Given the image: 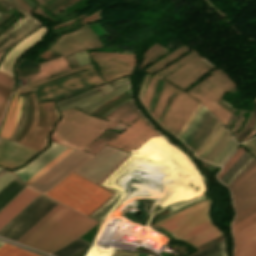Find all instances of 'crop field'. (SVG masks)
<instances>
[{
	"label": "crop field",
	"mask_w": 256,
	"mask_h": 256,
	"mask_svg": "<svg viewBox=\"0 0 256 256\" xmlns=\"http://www.w3.org/2000/svg\"><path fill=\"white\" fill-rule=\"evenodd\" d=\"M149 78H150V76H147V77H146V79L144 80V82H143V84H142V86H141V89H140V91H139V96H140V98H141V101H142V97H143V93H144L145 86H146V84H147Z\"/></svg>",
	"instance_id": "crop-field-37"
},
{
	"label": "crop field",
	"mask_w": 256,
	"mask_h": 256,
	"mask_svg": "<svg viewBox=\"0 0 256 256\" xmlns=\"http://www.w3.org/2000/svg\"><path fill=\"white\" fill-rule=\"evenodd\" d=\"M0 83L9 88H12L13 79L9 76L0 73Z\"/></svg>",
	"instance_id": "crop-field-31"
},
{
	"label": "crop field",
	"mask_w": 256,
	"mask_h": 256,
	"mask_svg": "<svg viewBox=\"0 0 256 256\" xmlns=\"http://www.w3.org/2000/svg\"><path fill=\"white\" fill-rule=\"evenodd\" d=\"M127 96H129V95H126V96H124V97L120 98L119 100H121V99H123V98H125V97H127ZM129 98H130V97H129ZM126 99H128V98H126ZM126 99H124V100H126ZM119 100H117V101H119ZM124 100H122V101H124ZM130 100H132V99L130 98V99H128V100H126V101H124V102L120 101V102H122V103H120V102H119L120 104H119V103H117V104H119V105L115 104V105H113L112 107H114V106H116V105H117L116 107H114V108H112V107H111L112 109H111V108H109V109H111V110H110V111H108V110H109V109H108V110H107L108 112L106 111L107 113H106V112H104L108 107H110L112 104H114L115 102H117V101H115L114 103H112V104H110L108 107H106L103 111L101 110L102 112H104L102 115H100V114L102 113L101 111H100L101 113H99L98 115H100V117H101V116H103V115L106 113V114L102 117V118H105V117H106L107 115H109L113 110H115L116 108H118L119 106H121V105L125 104L126 102H128V101H130ZM98 115H97V116H98Z\"/></svg>",
	"instance_id": "crop-field-28"
},
{
	"label": "crop field",
	"mask_w": 256,
	"mask_h": 256,
	"mask_svg": "<svg viewBox=\"0 0 256 256\" xmlns=\"http://www.w3.org/2000/svg\"><path fill=\"white\" fill-rule=\"evenodd\" d=\"M235 141L233 139L230 141V143L227 145V147L224 149V151L218 156V158L213 162V164L218 165V163L221 161V159L224 157V155L227 153V151L230 149V147L233 145ZM238 143L235 142V144L232 146V148L229 150V152L226 154V156L223 158V160L220 162V166L223 165V163L228 159V157L232 154V152L236 149Z\"/></svg>",
	"instance_id": "crop-field-24"
},
{
	"label": "crop field",
	"mask_w": 256,
	"mask_h": 256,
	"mask_svg": "<svg viewBox=\"0 0 256 256\" xmlns=\"http://www.w3.org/2000/svg\"><path fill=\"white\" fill-rule=\"evenodd\" d=\"M96 221L58 204L17 243L50 253L93 226Z\"/></svg>",
	"instance_id": "crop-field-1"
},
{
	"label": "crop field",
	"mask_w": 256,
	"mask_h": 256,
	"mask_svg": "<svg viewBox=\"0 0 256 256\" xmlns=\"http://www.w3.org/2000/svg\"><path fill=\"white\" fill-rule=\"evenodd\" d=\"M226 132H227V131H226ZM226 132H225V133H226ZM227 133H228V132H227ZM227 133H226V135H227ZM223 134H224V133H223ZM228 134H229V133H228ZM226 135H225V136H226ZM223 136H224V135H223ZM223 136H222V137H223ZM225 136H224L223 138L221 137L222 140L225 138ZM228 136H229V135H228ZM228 136H227V137H228ZM231 137H232V135L230 134V136L227 138V140H226V139H225L226 141L224 140L225 143L223 144L224 141L222 142V144H223V145L221 144L222 147L219 145V144L221 143V141H222V140L220 139V140H221V141L219 140L220 143H219V141H218L217 144L219 143L218 145L221 147V150L219 151V149H220L219 146H218V147H219L218 150L215 149V151L217 150L216 152L213 150V149L216 147V145H217V144H216V145L212 148V150H213L215 153H214L212 150H211V151L214 153V155H215L218 151H219V152H218L215 156L213 155V156H214V157H213V156H212L213 153L210 151L212 154L209 152L211 155L208 153L210 156L207 154L209 157H208L207 155H206V156H207L208 158L205 156L207 159L204 157V158L206 159V161L212 156L213 158L211 157L212 159L210 158L211 160H210V159H209L210 161L208 160L209 162L212 163V162L216 159V157H217V156L223 151V149L226 147V145H227L228 142L230 141ZM204 158H203V159H204ZM205 159H204V160H205Z\"/></svg>",
	"instance_id": "crop-field-25"
},
{
	"label": "crop field",
	"mask_w": 256,
	"mask_h": 256,
	"mask_svg": "<svg viewBox=\"0 0 256 256\" xmlns=\"http://www.w3.org/2000/svg\"><path fill=\"white\" fill-rule=\"evenodd\" d=\"M219 122L217 121L215 127L213 128V130L211 131V133L209 134V136L204 140V142L198 147V149L195 151V153L197 154L201 148L209 141V139L211 138V136L213 135V133L215 132V130L218 128L219 126Z\"/></svg>",
	"instance_id": "crop-field-33"
},
{
	"label": "crop field",
	"mask_w": 256,
	"mask_h": 256,
	"mask_svg": "<svg viewBox=\"0 0 256 256\" xmlns=\"http://www.w3.org/2000/svg\"><path fill=\"white\" fill-rule=\"evenodd\" d=\"M33 99V118L30 124V128L20 143L29 147L42 150L47 145V135L51 131L53 125L59 119V114L54 105V102L44 103L46 112V125L45 128L36 126L37 123V105L34 93L31 94Z\"/></svg>",
	"instance_id": "crop-field-5"
},
{
	"label": "crop field",
	"mask_w": 256,
	"mask_h": 256,
	"mask_svg": "<svg viewBox=\"0 0 256 256\" xmlns=\"http://www.w3.org/2000/svg\"><path fill=\"white\" fill-rule=\"evenodd\" d=\"M245 150L240 147L235 154L229 159V161L224 165L223 169L218 174V179L225 173V171L238 159V157L244 152Z\"/></svg>",
	"instance_id": "crop-field-26"
},
{
	"label": "crop field",
	"mask_w": 256,
	"mask_h": 256,
	"mask_svg": "<svg viewBox=\"0 0 256 256\" xmlns=\"http://www.w3.org/2000/svg\"><path fill=\"white\" fill-rule=\"evenodd\" d=\"M138 256H147V255H144V254H139Z\"/></svg>",
	"instance_id": "crop-field-47"
},
{
	"label": "crop field",
	"mask_w": 256,
	"mask_h": 256,
	"mask_svg": "<svg viewBox=\"0 0 256 256\" xmlns=\"http://www.w3.org/2000/svg\"><path fill=\"white\" fill-rule=\"evenodd\" d=\"M79 1V0H78ZM77 2V1H76ZM75 3V2H74ZM73 4V3H72ZM66 8V7H65ZM64 9V8H63ZM63 9H61V10H63ZM61 10H59V11H61ZM59 11H57V12H59ZM57 12H55V13H57ZM55 13H53V14H55Z\"/></svg>",
	"instance_id": "crop-field-46"
},
{
	"label": "crop field",
	"mask_w": 256,
	"mask_h": 256,
	"mask_svg": "<svg viewBox=\"0 0 256 256\" xmlns=\"http://www.w3.org/2000/svg\"><path fill=\"white\" fill-rule=\"evenodd\" d=\"M26 111H27V96L24 95V108L22 110V117H21V120L20 122L18 123V125L16 126L12 136L10 137L11 140H14L15 137L17 136V134L19 133L20 131V128L22 127L23 123H24V119H25V116H26Z\"/></svg>",
	"instance_id": "crop-field-27"
},
{
	"label": "crop field",
	"mask_w": 256,
	"mask_h": 256,
	"mask_svg": "<svg viewBox=\"0 0 256 256\" xmlns=\"http://www.w3.org/2000/svg\"><path fill=\"white\" fill-rule=\"evenodd\" d=\"M251 115H252V113H251ZM251 115H250V118H251ZM250 118H249V120H250ZM249 120H248V122H249ZM248 122H247V123H248ZM247 123L245 124V126L247 125ZM245 126H244V127H245ZM244 127L242 128V130L244 129ZM242 130H241V131H242ZM241 131H240L239 133H237L234 137H237V136L241 133Z\"/></svg>",
	"instance_id": "crop-field-42"
},
{
	"label": "crop field",
	"mask_w": 256,
	"mask_h": 256,
	"mask_svg": "<svg viewBox=\"0 0 256 256\" xmlns=\"http://www.w3.org/2000/svg\"><path fill=\"white\" fill-rule=\"evenodd\" d=\"M74 56H75V58H76V60H77V62L79 64V66L88 63L89 56H88L87 52L75 54Z\"/></svg>",
	"instance_id": "crop-field-30"
},
{
	"label": "crop field",
	"mask_w": 256,
	"mask_h": 256,
	"mask_svg": "<svg viewBox=\"0 0 256 256\" xmlns=\"http://www.w3.org/2000/svg\"><path fill=\"white\" fill-rule=\"evenodd\" d=\"M253 128H255L256 129V123H255V125H254V127Z\"/></svg>",
	"instance_id": "crop-field-49"
},
{
	"label": "crop field",
	"mask_w": 256,
	"mask_h": 256,
	"mask_svg": "<svg viewBox=\"0 0 256 256\" xmlns=\"http://www.w3.org/2000/svg\"><path fill=\"white\" fill-rule=\"evenodd\" d=\"M74 148L68 147L66 150H64L61 154H59L56 158H54L50 163H48L45 167H43L39 172H37L34 176H32L28 181L25 183L29 185L32 183L35 179H37L39 176H41L44 172H46L49 168H51L53 165H55L58 161H60L63 157H65L67 154H69Z\"/></svg>",
	"instance_id": "crop-field-20"
},
{
	"label": "crop field",
	"mask_w": 256,
	"mask_h": 256,
	"mask_svg": "<svg viewBox=\"0 0 256 256\" xmlns=\"http://www.w3.org/2000/svg\"><path fill=\"white\" fill-rule=\"evenodd\" d=\"M65 148L67 147L52 142V145L48 149H46L28 165L15 171L14 173L25 182L43 166L50 162L54 157L61 153Z\"/></svg>",
	"instance_id": "crop-field-11"
},
{
	"label": "crop field",
	"mask_w": 256,
	"mask_h": 256,
	"mask_svg": "<svg viewBox=\"0 0 256 256\" xmlns=\"http://www.w3.org/2000/svg\"><path fill=\"white\" fill-rule=\"evenodd\" d=\"M0 9H1V8H0ZM1 10H2V9H1ZM1 10H0V11H1ZM2 11H4V10H2ZM4 12H6V11H4Z\"/></svg>",
	"instance_id": "crop-field-50"
},
{
	"label": "crop field",
	"mask_w": 256,
	"mask_h": 256,
	"mask_svg": "<svg viewBox=\"0 0 256 256\" xmlns=\"http://www.w3.org/2000/svg\"><path fill=\"white\" fill-rule=\"evenodd\" d=\"M10 94H11V90L0 85V95L1 96H3L6 99H9Z\"/></svg>",
	"instance_id": "crop-field-34"
},
{
	"label": "crop field",
	"mask_w": 256,
	"mask_h": 256,
	"mask_svg": "<svg viewBox=\"0 0 256 256\" xmlns=\"http://www.w3.org/2000/svg\"><path fill=\"white\" fill-rule=\"evenodd\" d=\"M136 253L131 252H122V251H115V253L112 256H137Z\"/></svg>",
	"instance_id": "crop-field-36"
},
{
	"label": "crop field",
	"mask_w": 256,
	"mask_h": 256,
	"mask_svg": "<svg viewBox=\"0 0 256 256\" xmlns=\"http://www.w3.org/2000/svg\"><path fill=\"white\" fill-rule=\"evenodd\" d=\"M224 130L225 129H223L220 124L219 128L216 130L210 141L203 147V149L196 156L202 159L207 154V152L215 145V143L217 142L221 134L224 132Z\"/></svg>",
	"instance_id": "crop-field-22"
},
{
	"label": "crop field",
	"mask_w": 256,
	"mask_h": 256,
	"mask_svg": "<svg viewBox=\"0 0 256 256\" xmlns=\"http://www.w3.org/2000/svg\"><path fill=\"white\" fill-rule=\"evenodd\" d=\"M16 98H17V94L14 95V97L9 105V108L6 112L1 130H0V136L5 137V138H9L10 134L12 133V131L14 130L15 126L17 125V123L19 121L23 97L18 96L17 102H16ZM15 102H16V106H15ZM14 106H15L14 114L11 118V114H12V110H13Z\"/></svg>",
	"instance_id": "crop-field-16"
},
{
	"label": "crop field",
	"mask_w": 256,
	"mask_h": 256,
	"mask_svg": "<svg viewBox=\"0 0 256 256\" xmlns=\"http://www.w3.org/2000/svg\"><path fill=\"white\" fill-rule=\"evenodd\" d=\"M113 131H110V130H106L102 135H101V137H103V138H105V139H109L112 135H113Z\"/></svg>",
	"instance_id": "crop-field-39"
},
{
	"label": "crop field",
	"mask_w": 256,
	"mask_h": 256,
	"mask_svg": "<svg viewBox=\"0 0 256 256\" xmlns=\"http://www.w3.org/2000/svg\"><path fill=\"white\" fill-rule=\"evenodd\" d=\"M255 140H256V137L254 138ZM253 139V140H254ZM252 139L251 140H249L250 142H252L255 146H256V142L255 141H253Z\"/></svg>",
	"instance_id": "crop-field-44"
},
{
	"label": "crop field",
	"mask_w": 256,
	"mask_h": 256,
	"mask_svg": "<svg viewBox=\"0 0 256 256\" xmlns=\"http://www.w3.org/2000/svg\"><path fill=\"white\" fill-rule=\"evenodd\" d=\"M0 256H37L10 245H3L0 248Z\"/></svg>",
	"instance_id": "crop-field-21"
},
{
	"label": "crop field",
	"mask_w": 256,
	"mask_h": 256,
	"mask_svg": "<svg viewBox=\"0 0 256 256\" xmlns=\"http://www.w3.org/2000/svg\"><path fill=\"white\" fill-rule=\"evenodd\" d=\"M88 244L80 241L75 240L72 243L68 244L64 248L52 253L54 256H70L71 254L75 253L76 251L80 250L81 248L87 246Z\"/></svg>",
	"instance_id": "crop-field-18"
},
{
	"label": "crop field",
	"mask_w": 256,
	"mask_h": 256,
	"mask_svg": "<svg viewBox=\"0 0 256 256\" xmlns=\"http://www.w3.org/2000/svg\"><path fill=\"white\" fill-rule=\"evenodd\" d=\"M210 201L208 194H204L161 226L173 238L183 240L193 247L220 235L221 231L210 223Z\"/></svg>",
	"instance_id": "crop-field-2"
},
{
	"label": "crop field",
	"mask_w": 256,
	"mask_h": 256,
	"mask_svg": "<svg viewBox=\"0 0 256 256\" xmlns=\"http://www.w3.org/2000/svg\"><path fill=\"white\" fill-rule=\"evenodd\" d=\"M39 193L26 188L0 212V229L28 205Z\"/></svg>",
	"instance_id": "crop-field-14"
},
{
	"label": "crop field",
	"mask_w": 256,
	"mask_h": 256,
	"mask_svg": "<svg viewBox=\"0 0 256 256\" xmlns=\"http://www.w3.org/2000/svg\"><path fill=\"white\" fill-rule=\"evenodd\" d=\"M248 142H249V141H248ZM248 142H246L248 145L251 144L254 148H256L252 143L249 142V143H250V144H249ZM251 145H250V146H251ZM252 146H251V147H252ZM253 147H252V148H253ZM254 148H253V149H254ZM254 150L256 151V149H254Z\"/></svg>",
	"instance_id": "crop-field-45"
},
{
	"label": "crop field",
	"mask_w": 256,
	"mask_h": 256,
	"mask_svg": "<svg viewBox=\"0 0 256 256\" xmlns=\"http://www.w3.org/2000/svg\"><path fill=\"white\" fill-rule=\"evenodd\" d=\"M234 256H256V223L234 235Z\"/></svg>",
	"instance_id": "crop-field-13"
},
{
	"label": "crop field",
	"mask_w": 256,
	"mask_h": 256,
	"mask_svg": "<svg viewBox=\"0 0 256 256\" xmlns=\"http://www.w3.org/2000/svg\"><path fill=\"white\" fill-rule=\"evenodd\" d=\"M202 108H203V107H202ZM203 109H204V108H203ZM200 111H201V110H200ZM202 111H203V110H202ZM202 111H201V112H202ZM204 111H205V109H204ZM204 111L202 112V114L204 113ZM201 112L199 113V115L201 114ZM202 114H201L200 116L198 115L199 117L197 118L196 122H195V121H194L195 123L193 122L194 125L192 124L193 126H192V125H191L192 127L190 126L191 128H190V130L187 132V134H186L185 136L183 135V136H184L183 140L186 138V136L189 134V132H190V131L192 130V128L195 126V124H196L197 121L200 119V117L202 116ZM187 130H188V129H187ZM187 130H186V131H187ZM185 133H186V132H185ZM185 133H184V134H185ZM183 136H182V137H183ZM182 137H181V138H182ZM181 140H182V139H181Z\"/></svg>",
	"instance_id": "crop-field-38"
},
{
	"label": "crop field",
	"mask_w": 256,
	"mask_h": 256,
	"mask_svg": "<svg viewBox=\"0 0 256 256\" xmlns=\"http://www.w3.org/2000/svg\"><path fill=\"white\" fill-rule=\"evenodd\" d=\"M90 156L83 151L75 149L29 186L45 192Z\"/></svg>",
	"instance_id": "crop-field-6"
},
{
	"label": "crop field",
	"mask_w": 256,
	"mask_h": 256,
	"mask_svg": "<svg viewBox=\"0 0 256 256\" xmlns=\"http://www.w3.org/2000/svg\"><path fill=\"white\" fill-rule=\"evenodd\" d=\"M20 181L15 177L0 191V209L25 187Z\"/></svg>",
	"instance_id": "crop-field-17"
},
{
	"label": "crop field",
	"mask_w": 256,
	"mask_h": 256,
	"mask_svg": "<svg viewBox=\"0 0 256 256\" xmlns=\"http://www.w3.org/2000/svg\"><path fill=\"white\" fill-rule=\"evenodd\" d=\"M148 256H150V255H148Z\"/></svg>",
	"instance_id": "crop-field-51"
},
{
	"label": "crop field",
	"mask_w": 256,
	"mask_h": 256,
	"mask_svg": "<svg viewBox=\"0 0 256 256\" xmlns=\"http://www.w3.org/2000/svg\"><path fill=\"white\" fill-rule=\"evenodd\" d=\"M192 256H226L223 248V240Z\"/></svg>",
	"instance_id": "crop-field-19"
},
{
	"label": "crop field",
	"mask_w": 256,
	"mask_h": 256,
	"mask_svg": "<svg viewBox=\"0 0 256 256\" xmlns=\"http://www.w3.org/2000/svg\"><path fill=\"white\" fill-rule=\"evenodd\" d=\"M256 99V98H255Z\"/></svg>",
	"instance_id": "crop-field-52"
},
{
	"label": "crop field",
	"mask_w": 256,
	"mask_h": 256,
	"mask_svg": "<svg viewBox=\"0 0 256 256\" xmlns=\"http://www.w3.org/2000/svg\"><path fill=\"white\" fill-rule=\"evenodd\" d=\"M3 244H5V243H3V242H0V247H1Z\"/></svg>",
	"instance_id": "crop-field-48"
},
{
	"label": "crop field",
	"mask_w": 256,
	"mask_h": 256,
	"mask_svg": "<svg viewBox=\"0 0 256 256\" xmlns=\"http://www.w3.org/2000/svg\"><path fill=\"white\" fill-rule=\"evenodd\" d=\"M124 154L106 145L74 172L96 183Z\"/></svg>",
	"instance_id": "crop-field-7"
},
{
	"label": "crop field",
	"mask_w": 256,
	"mask_h": 256,
	"mask_svg": "<svg viewBox=\"0 0 256 256\" xmlns=\"http://www.w3.org/2000/svg\"><path fill=\"white\" fill-rule=\"evenodd\" d=\"M57 204L40 194L0 230V236L16 242Z\"/></svg>",
	"instance_id": "crop-field-4"
},
{
	"label": "crop field",
	"mask_w": 256,
	"mask_h": 256,
	"mask_svg": "<svg viewBox=\"0 0 256 256\" xmlns=\"http://www.w3.org/2000/svg\"><path fill=\"white\" fill-rule=\"evenodd\" d=\"M128 78H129V77L123 78V79H120V80H117V81H115V82H111V85H113V84H115V83H117V82H120V81H122V80L128 79Z\"/></svg>",
	"instance_id": "crop-field-43"
},
{
	"label": "crop field",
	"mask_w": 256,
	"mask_h": 256,
	"mask_svg": "<svg viewBox=\"0 0 256 256\" xmlns=\"http://www.w3.org/2000/svg\"><path fill=\"white\" fill-rule=\"evenodd\" d=\"M200 103L199 105L196 107V109L193 111V113L191 114V116L189 117V119L186 121V123L184 124V126L182 127V129L179 131V133L177 134V137L178 135L181 133V131L184 129V127L186 126V124L189 122V120L192 118V116L194 115V113L197 111V109L200 107ZM202 107V106H201ZM201 107L198 109V111L195 113V115L193 116V118L190 120V122L187 124V126L185 127V129L182 131V133L179 135V139L180 137L183 135V133L185 132V130L188 128V126L190 125V123L192 122V120L195 118V116L197 115V113L199 112V110L201 109Z\"/></svg>",
	"instance_id": "crop-field-29"
},
{
	"label": "crop field",
	"mask_w": 256,
	"mask_h": 256,
	"mask_svg": "<svg viewBox=\"0 0 256 256\" xmlns=\"http://www.w3.org/2000/svg\"><path fill=\"white\" fill-rule=\"evenodd\" d=\"M66 59L68 60V62L70 63V65L76 64V61H75L73 55L66 56Z\"/></svg>",
	"instance_id": "crop-field-40"
},
{
	"label": "crop field",
	"mask_w": 256,
	"mask_h": 256,
	"mask_svg": "<svg viewBox=\"0 0 256 256\" xmlns=\"http://www.w3.org/2000/svg\"><path fill=\"white\" fill-rule=\"evenodd\" d=\"M9 173L6 172L2 177H0V190L14 178V176L11 175L12 173Z\"/></svg>",
	"instance_id": "crop-field-32"
},
{
	"label": "crop field",
	"mask_w": 256,
	"mask_h": 256,
	"mask_svg": "<svg viewBox=\"0 0 256 256\" xmlns=\"http://www.w3.org/2000/svg\"><path fill=\"white\" fill-rule=\"evenodd\" d=\"M45 195L88 216L113 194L71 173Z\"/></svg>",
	"instance_id": "crop-field-3"
},
{
	"label": "crop field",
	"mask_w": 256,
	"mask_h": 256,
	"mask_svg": "<svg viewBox=\"0 0 256 256\" xmlns=\"http://www.w3.org/2000/svg\"><path fill=\"white\" fill-rule=\"evenodd\" d=\"M45 32L46 31L42 26L23 41H21L19 44L14 46L2 60L0 64V70L12 75V65L17 60V58L26 50H28L32 45H34L38 40H40Z\"/></svg>",
	"instance_id": "crop-field-12"
},
{
	"label": "crop field",
	"mask_w": 256,
	"mask_h": 256,
	"mask_svg": "<svg viewBox=\"0 0 256 256\" xmlns=\"http://www.w3.org/2000/svg\"><path fill=\"white\" fill-rule=\"evenodd\" d=\"M242 144L256 156V152L250 146H248L245 142Z\"/></svg>",
	"instance_id": "crop-field-41"
},
{
	"label": "crop field",
	"mask_w": 256,
	"mask_h": 256,
	"mask_svg": "<svg viewBox=\"0 0 256 256\" xmlns=\"http://www.w3.org/2000/svg\"><path fill=\"white\" fill-rule=\"evenodd\" d=\"M0 3L2 5H4L6 8H8L9 10L12 8L10 5H12L14 8H16L19 12H21L23 15L21 16V18L16 22V24L24 17V19L19 23V24H15L13 27H11L10 29H12L11 31L7 30L6 32H8L7 34L3 33L0 36V49L6 48L8 46L13 45L14 43H16L18 40H20L22 37H24L25 35H27L28 33H30L31 31L35 30L36 28L39 27L40 22L38 20H36L34 17L30 16L24 9H22L17 0H0ZM10 5H9V4ZM5 34V35H4Z\"/></svg>",
	"instance_id": "crop-field-9"
},
{
	"label": "crop field",
	"mask_w": 256,
	"mask_h": 256,
	"mask_svg": "<svg viewBox=\"0 0 256 256\" xmlns=\"http://www.w3.org/2000/svg\"><path fill=\"white\" fill-rule=\"evenodd\" d=\"M255 222H256V212L244 218L243 220L237 222L236 224L232 225L233 234L238 233L239 231L245 229L246 227L250 226Z\"/></svg>",
	"instance_id": "crop-field-23"
},
{
	"label": "crop field",
	"mask_w": 256,
	"mask_h": 256,
	"mask_svg": "<svg viewBox=\"0 0 256 256\" xmlns=\"http://www.w3.org/2000/svg\"><path fill=\"white\" fill-rule=\"evenodd\" d=\"M255 163L256 159L245 151L219 180L229 186Z\"/></svg>",
	"instance_id": "crop-field-15"
},
{
	"label": "crop field",
	"mask_w": 256,
	"mask_h": 256,
	"mask_svg": "<svg viewBox=\"0 0 256 256\" xmlns=\"http://www.w3.org/2000/svg\"><path fill=\"white\" fill-rule=\"evenodd\" d=\"M8 100L4 99L3 97L0 96V119H1V116L3 114V111L6 107V104H7Z\"/></svg>",
	"instance_id": "crop-field-35"
},
{
	"label": "crop field",
	"mask_w": 256,
	"mask_h": 256,
	"mask_svg": "<svg viewBox=\"0 0 256 256\" xmlns=\"http://www.w3.org/2000/svg\"><path fill=\"white\" fill-rule=\"evenodd\" d=\"M38 151L0 138V166L16 169Z\"/></svg>",
	"instance_id": "crop-field-10"
},
{
	"label": "crop field",
	"mask_w": 256,
	"mask_h": 256,
	"mask_svg": "<svg viewBox=\"0 0 256 256\" xmlns=\"http://www.w3.org/2000/svg\"><path fill=\"white\" fill-rule=\"evenodd\" d=\"M127 81H128V80L113 85L114 90H115L118 86H120V85H122V84H124V83H127ZM126 85H128V84H125V85H123V86L117 88L115 91L119 90L120 88H122V87H124V86H126ZM113 88H112L111 85H109V84L100 87V89H101V91L103 92L104 95L107 94V93H109V92H111V91H113ZM126 90H128V86H126V87L120 89V90L117 91V92L114 91L115 93L112 92L113 94L110 93V94H112V95L108 94V95H110V96L106 95V96H108V97L104 96V97H106V98H104L103 96H101L102 94H101V92H99L98 87H96V88H93V89H91V90H88V91H86V92H84V93H82V94H80V95L74 96V97H72V98H70V99L63 100V101H59V102H57V106L59 107V106H62V105H64V104L70 103V102H72V101H75V100H78V99H80V98L86 97V96L91 95V94H94V93H96V92H99V93H96V94H94V95L88 96V97H86V98L80 99V100H78V101L72 102V103H70V104H67V105H64V106L58 108L59 111H61V110H64V109L73 107V106L78 105V104H80V103H83V102H86V101L91 100V99H93V98H96V97L101 96V97H99V98L93 99V100H91V101H88V102H86V103H83V104H80V105L77 106V107H79L80 109H82V108H84V107H86V106H88V105H90V104H92V103H94V102H96V101H98V100L104 98L103 100H101V101H99V102H97V103H95V104H92V105H90V106H88V107L82 109V110H84V111H86V112L91 113L93 110H95L98 106H100V105H101L102 103H104L105 101L111 99L112 97H114V96H116V95H118V94H120V93H122V92H124V91H126Z\"/></svg>",
	"instance_id": "crop-field-8"
}]
</instances>
